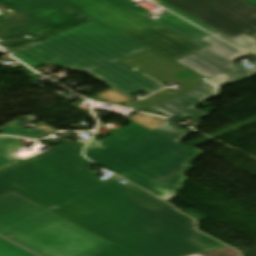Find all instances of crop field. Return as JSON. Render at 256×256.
Returning <instances> with one entry per match:
<instances>
[{"label":"crop field","instance_id":"11","mask_svg":"<svg viewBox=\"0 0 256 256\" xmlns=\"http://www.w3.org/2000/svg\"><path fill=\"white\" fill-rule=\"evenodd\" d=\"M220 86L206 80L194 90L166 101L153 108L181 121L189 116L198 119L209 115L197 108L200 102L216 97Z\"/></svg>","mask_w":256,"mask_h":256},{"label":"crop field","instance_id":"27","mask_svg":"<svg viewBox=\"0 0 256 256\" xmlns=\"http://www.w3.org/2000/svg\"><path fill=\"white\" fill-rule=\"evenodd\" d=\"M2 51L0 50V53H1Z\"/></svg>","mask_w":256,"mask_h":256},{"label":"crop field","instance_id":"12","mask_svg":"<svg viewBox=\"0 0 256 256\" xmlns=\"http://www.w3.org/2000/svg\"><path fill=\"white\" fill-rule=\"evenodd\" d=\"M123 6L135 11L136 13L150 19L148 17V10L143 7H134L133 2L129 0H114ZM151 21L163 26L164 28L176 33L177 35L191 41L192 43L202 47L207 48L211 45L201 41L200 39L209 35L208 33L202 31L201 29L195 27L194 25L186 22L185 20L179 18L178 16L168 12L160 16L156 21L150 19Z\"/></svg>","mask_w":256,"mask_h":256},{"label":"crop field","instance_id":"20","mask_svg":"<svg viewBox=\"0 0 256 256\" xmlns=\"http://www.w3.org/2000/svg\"><path fill=\"white\" fill-rule=\"evenodd\" d=\"M155 2L158 3V4H160V5H162V6H164V7H166V8H168V9H170V10H172V11H174L175 13L181 15L182 17L188 19L189 21H191V22L197 24L198 26L204 28L205 30H207V31H209V32H211V33L216 32L215 30H213L212 28L208 27L207 25L201 23L200 21H198V20L192 18L191 16L185 14L184 12L178 10L177 8H175V7L171 6V5H169L168 3H166V2H164V1H162V0H157V1H155Z\"/></svg>","mask_w":256,"mask_h":256},{"label":"crop field","instance_id":"21","mask_svg":"<svg viewBox=\"0 0 256 256\" xmlns=\"http://www.w3.org/2000/svg\"><path fill=\"white\" fill-rule=\"evenodd\" d=\"M19 140H21V139L20 138L0 136V149L3 150V151H6L8 153H11V152L16 151L18 149H21L23 147L14 145Z\"/></svg>","mask_w":256,"mask_h":256},{"label":"crop field","instance_id":"9","mask_svg":"<svg viewBox=\"0 0 256 256\" xmlns=\"http://www.w3.org/2000/svg\"><path fill=\"white\" fill-rule=\"evenodd\" d=\"M202 40L213 46L176 62L207 77L221 87L256 76V62H252L255 66L249 68L243 65L238 66L233 62L248 55L212 35Z\"/></svg>","mask_w":256,"mask_h":256},{"label":"crop field","instance_id":"18","mask_svg":"<svg viewBox=\"0 0 256 256\" xmlns=\"http://www.w3.org/2000/svg\"><path fill=\"white\" fill-rule=\"evenodd\" d=\"M0 256H36L0 237Z\"/></svg>","mask_w":256,"mask_h":256},{"label":"crop field","instance_id":"14","mask_svg":"<svg viewBox=\"0 0 256 256\" xmlns=\"http://www.w3.org/2000/svg\"><path fill=\"white\" fill-rule=\"evenodd\" d=\"M17 124H18L17 122L11 121V122L7 123L6 125L2 126L0 128V132L3 134L19 135V136H23L25 138H32V139H39V138L47 137V136L57 132V130H55L45 124L38 125L30 130L22 128Z\"/></svg>","mask_w":256,"mask_h":256},{"label":"crop field","instance_id":"7","mask_svg":"<svg viewBox=\"0 0 256 256\" xmlns=\"http://www.w3.org/2000/svg\"><path fill=\"white\" fill-rule=\"evenodd\" d=\"M0 42L37 40L91 19L58 0H0Z\"/></svg>","mask_w":256,"mask_h":256},{"label":"crop field","instance_id":"15","mask_svg":"<svg viewBox=\"0 0 256 256\" xmlns=\"http://www.w3.org/2000/svg\"><path fill=\"white\" fill-rule=\"evenodd\" d=\"M89 99L115 106H123L127 103L134 101L133 99L127 97L126 95L120 93L119 91L113 88L104 91L100 94L89 97Z\"/></svg>","mask_w":256,"mask_h":256},{"label":"crop field","instance_id":"1","mask_svg":"<svg viewBox=\"0 0 256 256\" xmlns=\"http://www.w3.org/2000/svg\"><path fill=\"white\" fill-rule=\"evenodd\" d=\"M67 179L93 194L56 212L139 256H193L227 247L132 183L103 182L87 170Z\"/></svg>","mask_w":256,"mask_h":256},{"label":"crop field","instance_id":"26","mask_svg":"<svg viewBox=\"0 0 256 256\" xmlns=\"http://www.w3.org/2000/svg\"><path fill=\"white\" fill-rule=\"evenodd\" d=\"M251 55L255 56L256 57V52L255 53H252Z\"/></svg>","mask_w":256,"mask_h":256},{"label":"crop field","instance_id":"19","mask_svg":"<svg viewBox=\"0 0 256 256\" xmlns=\"http://www.w3.org/2000/svg\"><path fill=\"white\" fill-rule=\"evenodd\" d=\"M90 256H136V255L119 247L118 245H113L109 248H106Z\"/></svg>","mask_w":256,"mask_h":256},{"label":"crop field","instance_id":"8","mask_svg":"<svg viewBox=\"0 0 256 256\" xmlns=\"http://www.w3.org/2000/svg\"><path fill=\"white\" fill-rule=\"evenodd\" d=\"M232 38L246 33L256 38V7L244 0H164Z\"/></svg>","mask_w":256,"mask_h":256},{"label":"crop field","instance_id":"3","mask_svg":"<svg viewBox=\"0 0 256 256\" xmlns=\"http://www.w3.org/2000/svg\"><path fill=\"white\" fill-rule=\"evenodd\" d=\"M0 234L43 256H88L113 245L12 191L0 196Z\"/></svg>","mask_w":256,"mask_h":256},{"label":"crop field","instance_id":"22","mask_svg":"<svg viewBox=\"0 0 256 256\" xmlns=\"http://www.w3.org/2000/svg\"><path fill=\"white\" fill-rule=\"evenodd\" d=\"M22 161L21 159L0 150V170Z\"/></svg>","mask_w":256,"mask_h":256},{"label":"crop field","instance_id":"5","mask_svg":"<svg viewBox=\"0 0 256 256\" xmlns=\"http://www.w3.org/2000/svg\"><path fill=\"white\" fill-rule=\"evenodd\" d=\"M84 146L67 140L44 154L0 171V183L57 210L91 192L65 178L93 163L84 159ZM51 209V208H50Z\"/></svg>","mask_w":256,"mask_h":256},{"label":"crop field","instance_id":"25","mask_svg":"<svg viewBox=\"0 0 256 256\" xmlns=\"http://www.w3.org/2000/svg\"><path fill=\"white\" fill-rule=\"evenodd\" d=\"M248 1L249 3L253 4L254 6H256V0H246Z\"/></svg>","mask_w":256,"mask_h":256},{"label":"crop field","instance_id":"28","mask_svg":"<svg viewBox=\"0 0 256 256\" xmlns=\"http://www.w3.org/2000/svg\"><path fill=\"white\" fill-rule=\"evenodd\" d=\"M197 256H200V255H197Z\"/></svg>","mask_w":256,"mask_h":256},{"label":"crop field","instance_id":"17","mask_svg":"<svg viewBox=\"0 0 256 256\" xmlns=\"http://www.w3.org/2000/svg\"><path fill=\"white\" fill-rule=\"evenodd\" d=\"M218 32L213 34L246 52L256 50V40L246 34L230 39Z\"/></svg>","mask_w":256,"mask_h":256},{"label":"crop field","instance_id":"23","mask_svg":"<svg viewBox=\"0 0 256 256\" xmlns=\"http://www.w3.org/2000/svg\"><path fill=\"white\" fill-rule=\"evenodd\" d=\"M36 40H24V41H18V42H11V43H5V44H0V47L6 51V52H9L11 50H14L16 48H19L21 46H24L26 44H29L31 42H34Z\"/></svg>","mask_w":256,"mask_h":256},{"label":"crop field","instance_id":"2","mask_svg":"<svg viewBox=\"0 0 256 256\" xmlns=\"http://www.w3.org/2000/svg\"><path fill=\"white\" fill-rule=\"evenodd\" d=\"M146 51L92 20L10 53L33 68L50 64L86 72L128 95L140 90L150 94L163 88L118 62Z\"/></svg>","mask_w":256,"mask_h":256},{"label":"crop field","instance_id":"10","mask_svg":"<svg viewBox=\"0 0 256 256\" xmlns=\"http://www.w3.org/2000/svg\"><path fill=\"white\" fill-rule=\"evenodd\" d=\"M120 62L162 86L173 81L184 87L175 93L164 89L130 104V106L141 111L188 92L205 81V79L189 72L153 51H149Z\"/></svg>","mask_w":256,"mask_h":256},{"label":"crop field","instance_id":"4","mask_svg":"<svg viewBox=\"0 0 256 256\" xmlns=\"http://www.w3.org/2000/svg\"><path fill=\"white\" fill-rule=\"evenodd\" d=\"M90 146L179 192L192 168L189 163L202 151L178 144L136 123L122 127L109 138L92 140Z\"/></svg>","mask_w":256,"mask_h":256},{"label":"crop field","instance_id":"6","mask_svg":"<svg viewBox=\"0 0 256 256\" xmlns=\"http://www.w3.org/2000/svg\"><path fill=\"white\" fill-rule=\"evenodd\" d=\"M62 1L174 61L202 50L112 0Z\"/></svg>","mask_w":256,"mask_h":256},{"label":"crop field","instance_id":"13","mask_svg":"<svg viewBox=\"0 0 256 256\" xmlns=\"http://www.w3.org/2000/svg\"><path fill=\"white\" fill-rule=\"evenodd\" d=\"M85 155L87 158L92 160L93 162L97 163L98 165L120 175H124L123 177L132 183L148 190L149 192L161 197L165 193V187L161 186L160 184L154 182L153 180L149 179L145 175L111 159L110 157L106 156L105 154L99 152L98 150L88 146L85 149Z\"/></svg>","mask_w":256,"mask_h":256},{"label":"crop field","instance_id":"24","mask_svg":"<svg viewBox=\"0 0 256 256\" xmlns=\"http://www.w3.org/2000/svg\"><path fill=\"white\" fill-rule=\"evenodd\" d=\"M8 191H10V190H8V189H6V188L0 186V195L6 193V192H8Z\"/></svg>","mask_w":256,"mask_h":256},{"label":"crop field","instance_id":"16","mask_svg":"<svg viewBox=\"0 0 256 256\" xmlns=\"http://www.w3.org/2000/svg\"><path fill=\"white\" fill-rule=\"evenodd\" d=\"M154 131L180 143L184 138H186L190 132L184 130L183 128L177 126L176 124L165 121L159 127H157Z\"/></svg>","mask_w":256,"mask_h":256}]
</instances>
